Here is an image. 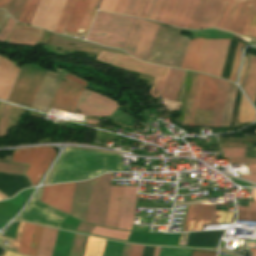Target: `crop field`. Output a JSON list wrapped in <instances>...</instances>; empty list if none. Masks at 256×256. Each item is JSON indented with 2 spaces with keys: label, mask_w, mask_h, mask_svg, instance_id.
Segmentation results:
<instances>
[{
  "label": "crop field",
  "mask_w": 256,
  "mask_h": 256,
  "mask_svg": "<svg viewBox=\"0 0 256 256\" xmlns=\"http://www.w3.org/2000/svg\"><path fill=\"white\" fill-rule=\"evenodd\" d=\"M122 171L121 156L66 148L47 184Z\"/></svg>",
  "instance_id": "crop-field-1"
},
{
  "label": "crop field",
  "mask_w": 256,
  "mask_h": 256,
  "mask_svg": "<svg viewBox=\"0 0 256 256\" xmlns=\"http://www.w3.org/2000/svg\"><path fill=\"white\" fill-rule=\"evenodd\" d=\"M207 39L195 38L189 42L182 64L183 69L199 71ZM230 40H208L200 72L221 76Z\"/></svg>",
  "instance_id": "crop-field-2"
},
{
  "label": "crop field",
  "mask_w": 256,
  "mask_h": 256,
  "mask_svg": "<svg viewBox=\"0 0 256 256\" xmlns=\"http://www.w3.org/2000/svg\"><path fill=\"white\" fill-rule=\"evenodd\" d=\"M181 29L160 25L146 61L180 68L189 39Z\"/></svg>",
  "instance_id": "crop-field-3"
},
{
  "label": "crop field",
  "mask_w": 256,
  "mask_h": 256,
  "mask_svg": "<svg viewBox=\"0 0 256 256\" xmlns=\"http://www.w3.org/2000/svg\"><path fill=\"white\" fill-rule=\"evenodd\" d=\"M133 19L98 11L87 40L121 48Z\"/></svg>",
  "instance_id": "crop-field-4"
},
{
  "label": "crop field",
  "mask_w": 256,
  "mask_h": 256,
  "mask_svg": "<svg viewBox=\"0 0 256 256\" xmlns=\"http://www.w3.org/2000/svg\"><path fill=\"white\" fill-rule=\"evenodd\" d=\"M124 187H111L105 226L117 228ZM137 187H125L119 229L131 230Z\"/></svg>",
  "instance_id": "crop-field-5"
},
{
  "label": "crop field",
  "mask_w": 256,
  "mask_h": 256,
  "mask_svg": "<svg viewBox=\"0 0 256 256\" xmlns=\"http://www.w3.org/2000/svg\"><path fill=\"white\" fill-rule=\"evenodd\" d=\"M46 72V70L31 65L21 68L7 100L31 107Z\"/></svg>",
  "instance_id": "crop-field-6"
},
{
  "label": "crop field",
  "mask_w": 256,
  "mask_h": 256,
  "mask_svg": "<svg viewBox=\"0 0 256 256\" xmlns=\"http://www.w3.org/2000/svg\"><path fill=\"white\" fill-rule=\"evenodd\" d=\"M158 26L135 18L122 49L146 60Z\"/></svg>",
  "instance_id": "crop-field-7"
},
{
  "label": "crop field",
  "mask_w": 256,
  "mask_h": 256,
  "mask_svg": "<svg viewBox=\"0 0 256 256\" xmlns=\"http://www.w3.org/2000/svg\"><path fill=\"white\" fill-rule=\"evenodd\" d=\"M218 82H219L218 79L211 78L204 75L197 108L213 110ZM227 85H228L227 82L220 80L212 122H211V125H206V126L219 127ZM197 125H204V124H197ZM197 125H194V126H197Z\"/></svg>",
  "instance_id": "crop-field-8"
},
{
  "label": "crop field",
  "mask_w": 256,
  "mask_h": 256,
  "mask_svg": "<svg viewBox=\"0 0 256 256\" xmlns=\"http://www.w3.org/2000/svg\"><path fill=\"white\" fill-rule=\"evenodd\" d=\"M55 156L52 147H35L15 150L12 161L29 163L25 172L35 186Z\"/></svg>",
  "instance_id": "crop-field-9"
},
{
  "label": "crop field",
  "mask_w": 256,
  "mask_h": 256,
  "mask_svg": "<svg viewBox=\"0 0 256 256\" xmlns=\"http://www.w3.org/2000/svg\"><path fill=\"white\" fill-rule=\"evenodd\" d=\"M112 174L93 179L86 222L104 226Z\"/></svg>",
  "instance_id": "crop-field-10"
},
{
  "label": "crop field",
  "mask_w": 256,
  "mask_h": 256,
  "mask_svg": "<svg viewBox=\"0 0 256 256\" xmlns=\"http://www.w3.org/2000/svg\"><path fill=\"white\" fill-rule=\"evenodd\" d=\"M198 3L199 0H165L157 21L188 28Z\"/></svg>",
  "instance_id": "crop-field-11"
},
{
  "label": "crop field",
  "mask_w": 256,
  "mask_h": 256,
  "mask_svg": "<svg viewBox=\"0 0 256 256\" xmlns=\"http://www.w3.org/2000/svg\"><path fill=\"white\" fill-rule=\"evenodd\" d=\"M254 0H228L217 27L241 33Z\"/></svg>",
  "instance_id": "crop-field-12"
},
{
  "label": "crop field",
  "mask_w": 256,
  "mask_h": 256,
  "mask_svg": "<svg viewBox=\"0 0 256 256\" xmlns=\"http://www.w3.org/2000/svg\"><path fill=\"white\" fill-rule=\"evenodd\" d=\"M74 186L75 183L45 186L40 200L70 215Z\"/></svg>",
  "instance_id": "crop-field-13"
},
{
  "label": "crop field",
  "mask_w": 256,
  "mask_h": 256,
  "mask_svg": "<svg viewBox=\"0 0 256 256\" xmlns=\"http://www.w3.org/2000/svg\"><path fill=\"white\" fill-rule=\"evenodd\" d=\"M227 0H201L189 28L216 27Z\"/></svg>",
  "instance_id": "crop-field-14"
},
{
  "label": "crop field",
  "mask_w": 256,
  "mask_h": 256,
  "mask_svg": "<svg viewBox=\"0 0 256 256\" xmlns=\"http://www.w3.org/2000/svg\"><path fill=\"white\" fill-rule=\"evenodd\" d=\"M118 107L120 106L117 102L86 89L79 102L78 109L82 110L84 115L106 116L110 115ZM78 109L76 113L82 114Z\"/></svg>",
  "instance_id": "crop-field-15"
},
{
  "label": "crop field",
  "mask_w": 256,
  "mask_h": 256,
  "mask_svg": "<svg viewBox=\"0 0 256 256\" xmlns=\"http://www.w3.org/2000/svg\"><path fill=\"white\" fill-rule=\"evenodd\" d=\"M99 2L100 0H91V3H90V0H77L74 6V9L72 11V14L70 16V19L65 28V31L75 32V33L78 32L81 22L83 20V17L90 3L87 13L80 27V30L78 32V33L86 34L91 24V21L94 17V14L96 12V9L99 5Z\"/></svg>",
  "instance_id": "crop-field-16"
},
{
  "label": "crop field",
  "mask_w": 256,
  "mask_h": 256,
  "mask_svg": "<svg viewBox=\"0 0 256 256\" xmlns=\"http://www.w3.org/2000/svg\"><path fill=\"white\" fill-rule=\"evenodd\" d=\"M20 216L26 220L60 227L67 215L45 206L33 199Z\"/></svg>",
  "instance_id": "crop-field-17"
},
{
  "label": "crop field",
  "mask_w": 256,
  "mask_h": 256,
  "mask_svg": "<svg viewBox=\"0 0 256 256\" xmlns=\"http://www.w3.org/2000/svg\"><path fill=\"white\" fill-rule=\"evenodd\" d=\"M216 205L196 204L188 231L202 230V224L232 222L234 213L215 211Z\"/></svg>",
  "instance_id": "crop-field-18"
},
{
  "label": "crop field",
  "mask_w": 256,
  "mask_h": 256,
  "mask_svg": "<svg viewBox=\"0 0 256 256\" xmlns=\"http://www.w3.org/2000/svg\"><path fill=\"white\" fill-rule=\"evenodd\" d=\"M66 0H40L30 24L54 30Z\"/></svg>",
  "instance_id": "crop-field-19"
},
{
  "label": "crop field",
  "mask_w": 256,
  "mask_h": 256,
  "mask_svg": "<svg viewBox=\"0 0 256 256\" xmlns=\"http://www.w3.org/2000/svg\"><path fill=\"white\" fill-rule=\"evenodd\" d=\"M84 88L62 81L50 107L73 113Z\"/></svg>",
  "instance_id": "crop-field-20"
},
{
  "label": "crop field",
  "mask_w": 256,
  "mask_h": 256,
  "mask_svg": "<svg viewBox=\"0 0 256 256\" xmlns=\"http://www.w3.org/2000/svg\"><path fill=\"white\" fill-rule=\"evenodd\" d=\"M91 182L92 179L89 181L77 182L75 186L71 215L84 222L86 219Z\"/></svg>",
  "instance_id": "crop-field-21"
},
{
  "label": "crop field",
  "mask_w": 256,
  "mask_h": 256,
  "mask_svg": "<svg viewBox=\"0 0 256 256\" xmlns=\"http://www.w3.org/2000/svg\"><path fill=\"white\" fill-rule=\"evenodd\" d=\"M43 31L39 28L16 24L6 42L34 45L40 42Z\"/></svg>",
  "instance_id": "crop-field-22"
},
{
  "label": "crop field",
  "mask_w": 256,
  "mask_h": 256,
  "mask_svg": "<svg viewBox=\"0 0 256 256\" xmlns=\"http://www.w3.org/2000/svg\"><path fill=\"white\" fill-rule=\"evenodd\" d=\"M20 69L8 59L0 56V98L7 99Z\"/></svg>",
  "instance_id": "crop-field-23"
},
{
  "label": "crop field",
  "mask_w": 256,
  "mask_h": 256,
  "mask_svg": "<svg viewBox=\"0 0 256 256\" xmlns=\"http://www.w3.org/2000/svg\"><path fill=\"white\" fill-rule=\"evenodd\" d=\"M237 87L229 84L220 126H229ZM241 91L237 89L230 126L234 125Z\"/></svg>",
  "instance_id": "crop-field-24"
},
{
  "label": "crop field",
  "mask_w": 256,
  "mask_h": 256,
  "mask_svg": "<svg viewBox=\"0 0 256 256\" xmlns=\"http://www.w3.org/2000/svg\"><path fill=\"white\" fill-rule=\"evenodd\" d=\"M31 186L24 176L0 173V190L9 196H13L19 190Z\"/></svg>",
  "instance_id": "crop-field-25"
},
{
  "label": "crop field",
  "mask_w": 256,
  "mask_h": 256,
  "mask_svg": "<svg viewBox=\"0 0 256 256\" xmlns=\"http://www.w3.org/2000/svg\"><path fill=\"white\" fill-rule=\"evenodd\" d=\"M181 233L174 234H148L132 232L129 241L147 242V243H163L178 245Z\"/></svg>",
  "instance_id": "crop-field-26"
},
{
  "label": "crop field",
  "mask_w": 256,
  "mask_h": 256,
  "mask_svg": "<svg viewBox=\"0 0 256 256\" xmlns=\"http://www.w3.org/2000/svg\"><path fill=\"white\" fill-rule=\"evenodd\" d=\"M184 72L185 71L182 70H170L164 89L160 96L161 98L173 101L175 100Z\"/></svg>",
  "instance_id": "crop-field-27"
},
{
  "label": "crop field",
  "mask_w": 256,
  "mask_h": 256,
  "mask_svg": "<svg viewBox=\"0 0 256 256\" xmlns=\"http://www.w3.org/2000/svg\"><path fill=\"white\" fill-rule=\"evenodd\" d=\"M58 230L44 227L37 256H52Z\"/></svg>",
  "instance_id": "crop-field-28"
},
{
  "label": "crop field",
  "mask_w": 256,
  "mask_h": 256,
  "mask_svg": "<svg viewBox=\"0 0 256 256\" xmlns=\"http://www.w3.org/2000/svg\"><path fill=\"white\" fill-rule=\"evenodd\" d=\"M250 60L249 69L243 89L255 104L256 100V56L247 54Z\"/></svg>",
  "instance_id": "crop-field-29"
},
{
  "label": "crop field",
  "mask_w": 256,
  "mask_h": 256,
  "mask_svg": "<svg viewBox=\"0 0 256 256\" xmlns=\"http://www.w3.org/2000/svg\"><path fill=\"white\" fill-rule=\"evenodd\" d=\"M164 0H143L136 17L155 21Z\"/></svg>",
  "instance_id": "crop-field-30"
},
{
  "label": "crop field",
  "mask_w": 256,
  "mask_h": 256,
  "mask_svg": "<svg viewBox=\"0 0 256 256\" xmlns=\"http://www.w3.org/2000/svg\"><path fill=\"white\" fill-rule=\"evenodd\" d=\"M74 233L59 230L53 256H69Z\"/></svg>",
  "instance_id": "crop-field-31"
},
{
  "label": "crop field",
  "mask_w": 256,
  "mask_h": 256,
  "mask_svg": "<svg viewBox=\"0 0 256 256\" xmlns=\"http://www.w3.org/2000/svg\"><path fill=\"white\" fill-rule=\"evenodd\" d=\"M58 39L60 41H58ZM73 43V44H80V45H87V46H93L96 48H100V49H104L106 51H110V52H114V53H122V54H126L125 52L121 51V50H116V49H110V48H105L96 44H93L91 42H87V41H83V40H78V39H74V38H70V37H64V36H59L57 34H55L54 39H53V45H57V46H62V47H72L70 45H66L67 43Z\"/></svg>",
  "instance_id": "crop-field-32"
},
{
  "label": "crop field",
  "mask_w": 256,
  "mask_h": 256,
  "mask_svg": "<svg viewBox=\"0 0 256 256\" xmlns=\"http://www.w3.org/2000/svg\"><path fill=\"white\" fill-rule=\"evenodd\" d=\"M35 225L25 223L18 252L27 254L29 253L30 244L33 236Z\"/></svg>",
  "instance_id": "crop-field-33"
},
{
  "label": "crop field",
  "mask_w": 256,
  "mask_h": 256,
  "mask_svg": "<svg viewBox=\"0 0 256 256\" xmlns=\"http://www.w3.org/2000/svg\"><path fill=\"white\" fill-rule=\"evenodd\" d=\"M105 241L89 237L84 256H102Z\"/></svg>",
  "instance_id": "crop-field-34"
},
{
  "label": "crop field",
  "mask_w": 256,
  "mask_h": 256,
  "mask_svg": "<svg viewBox=\"0 0 256 256\" xmlns=\"http://www.w3.org/2000/svg\"><path fill=\"white\" fill-rule=\"evenodd\" d=\"M241 34L256 38V0Z\"/></svg>",
  "instance_id": "crop-field-35"
},
{
  "label": "crop field",
  "mask_w": 256,
  "mask_h": 256,
  "mask_svg": "<svg viewBox=\"0 0 256 256\" xmlns=\"http://www.w3.org/2000/svg\"><path fill=\"white\" fill-rule=\"evenodd\" d=\"M76 0H67L54 32L63 33Z\"/></svg>",
  "instance_id": "crop-field-36"
},
{
  "label": "crop field",
  "mask_w": 256,
  "mask_h": 256,
  "mask_svg": "<svg viewBox=\"0 0 256 256\" xmlns=\"http://www.w3.org/2000/svg\"><path fill=\"white\" fill-rule=\"evenodd\" d=\"M92 233L97 234V235L106 236V237H112V238L126 240L130 232L118 231V230L95 226Z\"/></svg>",
  "instance_id": "crop-field-37"
},
{
  "label": "crop field",
  "mask_w": 256,
  "mask_h": 256,
  "mask_svg": "<svg viewBox=\"0 0 256 256\" xmlns=\"http://www.w3.org/2000/svg\"><path fill=\"white\" fill-rule=\"evenodd\" d=\"M87 236L74 235L70 256H82Z\"/></svg>",
  "instance_id": "crop-field-38"
},
{
  "label": "crop field",
  "mask_w": 256,
  "mask_h": 256,
  "mask_svg": "<svg viewBox=\"0 0 256 256\" xmlns=\"http://www.w3.org/2000/svg\"><path fill=\"white\" fill-rule=\"evenodd\" d=\"M27 0H11L9 4L6 6V9L11 13V15L19 20L23 8L26 4ZM18 22V21H17Z\"/></svg>",
  "instance_id": "crop-field-39"
},
{
  "label": "crop field",
  "mask_w": 256,
  "mask_h": 256,
  "mask_svg": "<svg viewBox=\"0 0 256 256\" xmlns=\"http://www.w3.org/2000/svg\"><path fill=\"white\" fill-rule=\"evenodd\" d=\"M192 249L161 247L159 256H190Z\"/></svg>",
  "instance_id": "crop-field-40"
},
{
  "label": "crop field",
  "mask_w": 256,
  "mask_h": 256,
  "mask_svg": "<svg viewBox=\"0 0 256 256\" xmlns=\"http://www.w3.org/2000/svg\"><path fill=\"white\" fill-rule=\"evenodd\" d=\"M38 2H39V0H28L27 1V4L24 8L22 16L19 20L20 22H24V23H28V24L30 23Z\"/></svg>",
  "instance_id": "crop-field-41"
},
{
  "label": "crop field",
  "mask_w": 256,
  "mask_h": 256,
  "mask_svg": "<svg viewBox=\"0 0 256 256\" xmlns=\"http://www.w3.org/2000/svg\"><path fill=\"white\" fill-rule=\"evenodd\" d=\"M123 245L122 243L107 241L103 256H121Z\"/></svg>",
  "instance_id": "crop-field-42"
},
{
  "label": "crop field",
  "mask_w": 256,
  "mask_h": 256,
  "mask_svg": "<svg viewBox=\"0 0 256 256\" xmlns=\"http://www.w3.org/2000/svg\"><path fill=\"white\" fill-rule=\"evenodd\" d=\"M26 165L0 163V172L22 174Z\"/></svg>",
  "instance_id": "crop-field-43"
},
{
  "label": "crop field",
  "mask_w": 256,
  "mask_h": 256,
  "mask_svg": "<svg viewBox=\"0 0 256 256\" xmlns=\"http://www.w3.org/2000/svg\"><path fill=\"white\" fill-rule=\"evenodd\" d=\"M202 77H203V75H201V74L197 75V81H196V87H195V93H194V99H193V105H192V111H191V117H190V123H189L190 126H192V124H193V119H194V115H195V110H196L197 100H198L200 86H201V82H202Z\"/></svg>",
  "instance_id": "crop-field-44"
},
{
  "label": "crop field",
  "mask_w": 256,
  "mask_h": 256,
  "mask_svg": "<svg viewBox=\"0 0 256 256\" xmlns=\"http://www.w3.org/2000/svg\"><path fill=\"white\" fill-rule=\"evenodd\" d=\"M11 106H5L2 118L0 120V137L7 134L8 120L11 112Z\"/></svg>",
  "instance_id": "crop-field-45"
},
{
  "label": "crop field",
  "mask_w": 256,
  "mask_h": 256,
  "mask_svg": "<svg viewBox=\"0 0 256 256\" xmlns=\"http://www.w3.org/2000/svg\"><path fill=\"white\" fill-rule=\"evenodd\" d=\"M42 228L43 227L37 226V225L35 227L34 236H33L31 249H30V253H29L30 256H36V252H37V248H38Z\"/></svg>",
  "instance_id": "crop-field-46"
},
{
  "label": "crop field",
  "mask_w": 256,
  "mask_h": 256,
  "mask_svg": "<svg viewBox=\"0 0 256 256\" xmlns=\"http://www.w3.org/2000/svg\"><path fill=\"white\" fill-rule=\"evenodd\" d=\"M242 46H243V44L238 43V47H237V51H236V55H235V59H234L230 79H229L230 81L235 82L236 74H237V70H238V66H239V62H240V57H241V47Z\"/></svg>",
  "instance_id": "crop-field-47"
},
{
  "label": "crop field",
  "mask_w": 256,
  "mask_h": 256,
  "mask_svg": "<svg viewBox=\"0 0 256 256\" xmlns=\"http://www.w3.org/2000/svg\"><path fill=\"white\" fill-rule=\"evenodd\" d=\"M224 157H244L245 148H221Z\"/></svg>",
  "instance_id": "crop-field-48"
},
{
  "label": "crop field",
  "mask_w": 256,
  "mask_h": 256,
  "mask_svg": "<svg viewBox=\"0 0 256 256\" xmlns=\"http://www.w3.org/2000/svg\"><path fill=\"white\" fill-rule=\"evenodd\" d=\"M142 0H130L124 14L136 16Z\"/></svg>",
  "instance_id": "crop-field-49"
},
{
  "label": "crop field",
  "mask_w": 256,
  "mask_h": 256,
  "mask_svg": "<svg viewBox=\"0 0 256 256\" xmlns=\"http://www.w3.org/2000/svg\"><path fill=\"white\" fill-rule=\"evenodd\" d=\"M15 21L13 20V18L10 16L9 20L7 21V23L5 24L4 28L2 29V31L0 32V41H5L6 37L8 36V34L10 33L11 29L13 28V26L15 25Z\"/></svg>",
  "instance_id": "crop-field-50"
},
{
  "label": "crop field",
  "mask_w": 256,
  "mask_h": 256,
  "mask_svg": "<svg viewBox=\"0 0 256 256\" xmlns=\"http://www.w3.org/2000/svg\"><path fill=\"white\" fill-rule=\"evenodd\" d=\"M237 220L256 221V212L238 211Z\"/></svg>",
  "instance_id": "crop-field-51"
},
{
  "label": "crop field",
  "mask_w": 256,
  "mask_h": 256,
  "mask_svg": "<svg viewBox=\"0 0 256 256\" xmlns=\"http://www.w3.org/2000/svg\"><path fill=\"white\" fill-rule=\"evenodd\" d=\"M115 54L110 52L101 51L97 57V60L111 64Z\"/></svg>",
  "instance_id": "crop-field-52"
},
{
  "label": "crop field",
  "mask_w": 256,
  "mask_h": 256,
  "mask_svg": "<svg viewBox=\"0 0 256 256\" xmlns=\"http://www.w3.org/2000/svg\"><path fill=\"white\" fill-rule=\"evenodd\" d=\"M117 0H102V3L99 9L106 10L112 12Z\"/></svg>",
  "instance_id": "crop-field-53"
},
{
  "label": "crop field",
  "mask_w": 256,
  "mask_h": 256,
  "mask_svg": "<svg viewBox=\"0 0 256 256\" xmlns=\"http://www.w3.org/2000/svg\"><path fill=\"white\" fill-rule=\"evenodd\" d=\"M20 222H14L12 225H10L7 229V231L1 235L10 237V238H14L15 239V235H16V230L18 228Z\"/></svg>",
  "instance_id": "crop-field-54"
},
{
  "label": "crop field",
  "mask_w": 256,
  "mask_h": 256,
  "mask_svg": "<svg viewBox=\"0 0 256 256\" xmlns=\"http://www.w3.org/2000/svg\"><path fill=\"white\" fill-rule=\"evenodd\" d=\"M215 251L193 249L191 256H216Z\"/></svg>",
  "instance_id": "crop-field-55"
},
{
  "label": "crop field",
  "mask_w": 256,
  "mask_h": 256,
  "mask_svg": "<svg viewBox=\"0 0 256 256\" xmlns=\"http://www.w3.org/2000/svg\"><path fill=\"white\" fill-rule=\"evenodd\" d=\"M129 0H118L113 12L123 14Z\"/></svg>",
  "instance_id": "crop-field-56"
},
{
  "label": "crop field",
  "mask_w": 256,
  "mask_h": 256,
  "mask_svg": "<svg viewBox=\"0 0 256 256\" xmlns=\"http://www.w3.org/2000/svg\"><path fill=\"white\" fill-rule=\"evenodd\" d=\"M63 79H65L66 81H69V82L77 83V84L82 85V86H86L85 81L81 80L80 78H78V77H76L72 74H68Z\"/></svg>",
  "instance_id": "crop-field-57"
},
{
  "label": "crop field",
  "mask_w": 256,
  "mask_h": 256,
  "mask_svg": "<svg viewBox=\"0 0 256 256\" xmlns=\"http://www.w3.org/2000/svg\"><path fill=\"white\" fill-rule=\"evenodd\" d=\"M23 225L24 223H20L19 228L17 230V236H16V240L13 241V246L12 249L16 250L18 249V245H19V241H20V237H21V233H22V229H23Z\"/></svg>",
  "instance_id": "crop-field-58"
},
{
  "label": "crop field",
  "mask_w": 256,
  "mask_h": 256,
  "mask_svg": "<svg viewBox=\"0 0 256 256\" xmlns=\"http://www.w3.org/2000/svg\"><path fill=\"white\" fill-rule=\"evenodd\" d=\"M144 246H135L132 245L129 256H141Z\"/></svg>",
  "instance_id": "crop-field-59"
},
{
  "label": "crop field",
  "mask_w": 256,
  "mask_h": 256,
  "mask_svg": "<svg viewBox=\"0 0 256 256\" xmlns=\"http://www.w3.org/2000/svg\"><path fill=\"white\" fill-rule=\"evenodd\" d=\"M94 228L93 225H89L86 223L81 222V224L79 225V227L77 228L78 231H82V232H87V233H91L92 229Z\"/></svg>",
  "instance_id": "crop-field-60"
},
{
  "label": "crop field",
  "mask_w": 256,
  "mask_h": 256,
  "mask_svg": "<svg viewBox=\"0 0 256 256\" xmlns=\"http://www.w3.org/2000/svg\"><path fill=\"white\" fill-rule=\"evenodd\" d=\"M232 164L254 163L256 159H229Z\"/></svg>",
  "instance_id": "crop-field-61"
},
{
  "label": "crop field",
  "mask_w": 256,
  "mask_h": 256,
  "mask_svg": "<svg viewBox=\"0 0 256 256\" xmlns=\"http://www.w3.org/2000/svg\"><path fill=\"white\" fill-rule=\"evenodd\" d=\"M193 206L194 205H190L189 206V210H188V214H187V218H186V222H185V226H184V230L183 231H187L188 230V226H189V222H190Z\"/></svg>",
  "instance_id": "crop-field-62"
},
{
  "label": "crop field",
  "mask_w": 256,
  "mask_h": 256,
  "mask_svg": "<svg viewBox=\"0 0 256 256\" xmlns=\"http://www.w3.org/2000/svg\"><path fill=\"white\" fill-rule=\"evenodd\" d=\"M9 16L10 15L6 12V14L2 18V20L0 21V31H1L2 27L4 26V24L6 23L7 19L9 18Z\"/></svg>",
  "instance_id": "crop-field-63"
},
{
  "label": "crop field",
  "mask_w": 256,
  "mask_h": 256,
  "mask_svg": "<svg viewBox=\"0 0 256 256\" xmlns=\"http://www.w3.org/2000/svg\"><path fill=\"white\" fill-rule=\"evenodd\" d=\"M130 244H125L122 256H128L130 251Z\"/></svg>",
  "instance_id": "crop-field-64"
},
{
  "label": "crop field",
  "mask_w": 256,
  "mask_h": 256,
  "mask_svg": "<svg viewBox=\"0 0 256 256\" xmlns=\"http://www.w3.org/2000/svg\"><path fill=\"white\" fill-rule=\"evenodd\" d=\"M249 169H250V173L251 174H256V163L254 164H247Z\"/></svg>",
  "instance_id": "crop-field-65"
},
{
  "label": "crop field",
  "mask_w": 256,
  "mask_h": 256,
  "mask_svg": "<svg viewBox=\"0 0 256 256\" xmlns=\"http://www.w3.org/2000/svg\"><path fill=\"white\" fill-rule=\"evenodd\" d=\"M238 210H246V211H256V208L254 207H242V206H236Z\"/></svg>",
  "instance_id": "crop-field-66"
},
{
  "label": "crop field",
  "mask_w": 256,
  "mask_h": 256,
  "mask_svg": "<svg viewBox=\"0 0 256 256\" xmlns=\"http://www.w3.org/2000/svg\"><path fill=\"white\" fill-rule=\"evenodd\" d=\"M241 177H244V178L256 183V175H242Z\"/></svg>",
  "instance_id": "crop-field-67"
},
{
  "label": "crop field",
  "mask_w": 256,
  "mask_h": 256,
  "mask_svg": "<svg viewBox=\"0 0 256 256\" xmlns=\"http://www.w3.org/2000/svg\"><path fill=\"white\" fill-rule=\"evenodd\" d=\"M4 256H21V255L15 254V253L7 250L6 253L4 254Z\"/></svg>",
  "instance_id": "crop-field-68"
},
{
  "label": "crop field",
  "mask_w": 256,
  "mask_h": 256,
  "mask_svg": "<svg viewBox=\"0 0 256 256\" xmlns=\"http://www.w3.org/2000/svg\"><path fill=\"white\" fill-rule=\"evenodd\" d=\"M41 190H42V187L38 189V191L36 192L35 194V198L39 199L40 198V194H41Z\"/></svg>",
  "instance_id": "crop-field-69"
},
{
  "label": "crop field",
  "mask_w": 256,
  "mask_h": 256,
  "mask_svg": "<svg viewBox=\"0 0 256 256\" xmlns=\"http://www.w3.org/2000/svg\"><path fill=\"white\" fill-rule=\"evenodd\" d=\"M9 0H0V8L4 7Z\"/></svg>",
  "instance_id": "crop-field-70"
},
{
  "label": "crop field",
  "mask_w": 256,
  "mask_h": 256,
  "mask_svg": "<svg viewBox=\"0 0 256 256\" xmlns=\"http://www.w3.org/2000/svg\"><path fill=\"white\" fill-rule=\"evenodd\" d=\"M5 12H6V11H5V10H3V9H2V10H0V20H1V18L3 17V15L5 14Z\"/></svg>",
  "instance_id": "crop-field-71"
},
{
  "label": "crop field",
  "mask_w": 256,
  "mask_h": 256,
  "mask_svg": "<svg viewBox=\"0 0 256 256\" xmlns=\"http://www.w3.org/2000/svg\"><path fill=\"white\" fill-rule=\"evenodd\" d=\"M159 249H160V247H156V249H155V253H154V256H158Z\"/></svg>",
  "instance_id": "crop-field-72"
},
{
  "label": "crop field",
  "mask_w": 256,
  "mask_h": 256,
  "mask_svg": "<svg viewBox=\"0 0 256 256\" xmlns=\"http://www.w3.org/2000/svg\"><path fill=\"white\" fill-rule=\"evenodd\" d=\"M253 198H254V200L256 201V189H254Z\"/></svg>",
  "instance_id": "crop-field-73"
},
{
  "label": "crop field",
  "mask_w": 256,
  "mask_h": 256,
  "mask_svg": "<svg viewBox=\"0 0 256 256\" xmlns=\"http://www.w3.org/2000/svg\"><path fill=\"white\" fill-rule=\"evenodd\" d=\"M249 206H255L256 207V203L255 202H250Z\"/></svg>",
  "instance_id": "crop-field-74"
},
{
  "label": "crop field",
  "mask_w": 256,
  "mask_h": 256,
  "mask_svg": "<svg viewBox=\"0 0 256 256\" xmlns=\"http://www.w3.org/2000/svg\"><path fill=\"white\" fill-rule=\"evenodd\" d=\"M2 253H3V249H2V248H0V256L2 255Z\"/></svg>",
  "instance_id": "crop-field-75"
},
{
  "label": "crop field",
  "mask_w": 256,
  "mask_h": 256,
  "mask_svg": "<svg viewBox=\"0 0 256 256\" xmlns=\"http://www.w3.org/2000/svg\"><path fill=\"white\" fill-rule=\"evenodd\" d=\"M253 256H256V250H255V252H254Z\"/></svg>",
  "instance_id": "crop-field-76"
},
{
  "label": "crop field",
  "mask_w": 256,
  "mask_h": 256,
  "mask_svg": "<svg viewBox=\"0 0 256 256\" xmlns=\"http://www.w3.org/2000/svg\"><path fill=\"white\" fill-rule=\"evenodd\" d=\"M1 198V197H0ZM3 199V198H2ZM1 200V199H0Z\"/></svg>",
  "instance_id": "crop-field-77"
},
{
  "label": "crop field",
  "mask_w": 256,
  "mask_h": 256,
  "mask_svg": "<svg viewBox=\"0 0 256 256\" xmlns=\"http://www.w3.org/2000/svg\"><path fill=\"white\" fill-rule=\"evenodd\" d=\"M256 105V104H255Z\"/></svg>",
  "instance_id": "crop-field-78"
}]
</instances>
